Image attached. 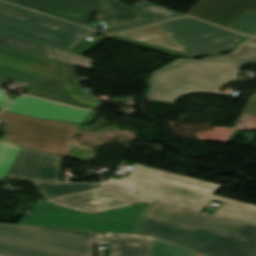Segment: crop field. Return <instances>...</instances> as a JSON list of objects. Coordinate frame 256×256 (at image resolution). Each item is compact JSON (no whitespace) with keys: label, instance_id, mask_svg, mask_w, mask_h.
I'll return each mask as SVG.
<instances>
[{"label":"crop field","instance_id":"8a807250","mask_svg":"<svg viewBox=\"0 0 256 256\" xmlns=\"http://www.w3.org/2000/svg\"><path fill=\"white\" fill-rule=\"evenodd\" d=\"M242 63L178 59L153 73L152 88L146 98L165 101L195 92L219 93L225 84L236 79ZM224 94V93H220Z\"/></svg>","mask_w":256,"mask_h":256},{"label":"crop field","instance_id":"ac0d7876","mask_svg":"<svg viewBox=\"0 0 256 256\" xmlns=\"http://www.w3.org/2000/svg\"><path fill=\"white\" fill-rule=\"evenodd\" d=\"M145 218L178 227L210 229L222 235L196 251L209 256H256V227L175 209L154 201Z\"/></svg>","mask_w":256,"mask_h":256},{"label":"crop field","instance_id":"34b2d1b8","mask_svg":"<svg viewBox=\"0 0 256 256\" xmlns=\"http://www.w3.org/2000/svg\"><path fill=\"white\" fill-rule=\"evenodd\" d=\"M0 30L67 51L91 31L1 1Z\"/></svg>","mask_w":256,"mask_h":256},{"label":"crop field","instance_id":"412701ff","mask_svg":"<svg viewBox=\"0 0 256 256\" xmlns=\"http://www.w3.org/2000/svg\"><path fill=\"white\" fill-rule=\"evenodd\" d=\"M95 231L0 223V242L64 256H92Z\"/></svg>","mask_w":256,"mask_h":256},{"label":"crop field","instance_id":"f4fd0767","mask_svg":"<svg viewBox=\"0 0 256 256\" xmlns=\"http://www.w3.org/2000/svg\"><path fill=\"white\" fill-rule=\"evenodd\" d=\"M5 125L0 140L68 157L73 131L77 124L40 120L3 111Z\"/></svg>","mask_w":256,"mask_h":256},{"label":"crop field","instance_id":"dd49c442","mask_svg":"<svg viewBox=\"0 0 256 256\" xmlns=\"http://www.w3.org/2000/svg\"><path fill=\"white\" fill-rule=\"evenodd\" d=\"M138 194L162 200L177 207L195 212L202 211L212 200L220 201L224 204L213 214V216L256 224V206L254 205L157 180L139 176Z\"/></svg>","mask_w":256,"mask_h":256},{"label":"crop field","instance_id":"e52e79f7","mask_svg":"<svg viewBox=\"0 0 256 256\" xmlns=\"http://www.w3.org/2000/svg\"><path fill=\"white\" fill-rule=\"evenodd\" d=\"M85 26L93 12L96 19L113 26L145 19L137 9L117 0H4Z\"/></svg>","mask_w":256,"mask_h":256},{"label":"crop field","instance_id":"d8731c3e","mask_svg":"<svg viewBox=\"0 0 256 256\" xmlns=\"http://www.w3.org/2000/svg\"><path fill=\"white\" fill-rule=\"evenodd\" d=\"M139 222L140 220L113 222L98 219L89 214L38 200L33 211L22 218L19 224L133 234Z\"/></svg>","mask_w":256,"mask_h":256},{"label":"crop field","instance_id":"5a996713","mask_svg":"<svg viewBox=\"0 0 256 256\" xmlns=\"http://www.w3.org/2000/svg\"><path fill=\"white\" fill-rule=\"evenodd\" d=\"M175 38L187 46L189 57L231 50L237 41L246 36L215 27L189 17L163 23Z\"/></svg>","mask_w":256,"mask_h":256},{"label":"crop field","instance_id":"3316defc","mask_svg":"<svg viewBox=\"0 0 256 256\" xmlns=\"http://www.w3.org/2000/svg\"><path fill=\"white\" fill-rule=\"evenodd\" d=\"M11 78L32 84L59 77L53 60L0 45V88Z\"/></svg>","mask_w":256,"mask_h":256},{"label":"crop field","instance_id":"28ad6ade","mask_svg":"<svg viewBox=\"0 0 256 256\" xmlns=\"http://www.w3.org/2000/svg\"><path fill=\"white\" fill-rule=\"evenodd\" d=\"M49 201L85 213H97L137 203V196L103 186L98 189L52 198Z\"/></svg>","mask_w":256,"mask_h":256},{"label":"crop field","instance_id":"d1516ede","mask_svg":"<svg viewBox=\"0 0 256 256\" xmlns=\"http://www.w3.org/2000/svg\"><path fill=\"white\" fill-rule=\"evenodd\" d=\"M64 157L22 147L7 177L30 181H60Z\"/></svg>","mask_w":256,"mask_h":256},{"label":"crop field","instance_id":"22f410ed","mask_svg":"<svg viewBox=\"0 0 256 256\" xmlns=\"http://www.w3.org/2000/svg\"><path fill=\"white\" fill-rule=\"evenodd\" d=\"M4 110L44 120L51 119L80 124H83L93 112L79 110L25 95L13 99Z\"/></svg>","mask_w":256,"mask_h":256},{"label":"crop field","instance_id":"cbeb9de0","mask_svg":"<svg viewBox=\"0 0 256 256\" xmlns=\"http://www.w3.org/2000/svg\"><path fill=\"white\" fill-rule=\"evenodd\" d=\"M134 234L154 235L193 251L220 236L210 230L194 229L190 231L145 218L141 220Z\"/></svg>","mask_w":256,"mask_h":256},{"label":"crop field","instance_id":"5142ce71","mask_svg":"<svg viewBox=\"0 0 256 256\" xmlns=\"http://www.w3.org/2000/svg\"><path fill=\"white\" fill-rule=\"evenodd\" d=\"M246 11H256V0H201L187 15L228 28Z\"/></svg>","mask_w":256,"mask_h":256},{"label":"crop field","instance_id":"d9b57169","mask_svg":"<svg viewBox=\"0 0 256 256\" xmlns=\"http://www.w3.org/2000/svg\"><path fill=\"white\" fill-rule=\"evenodd\" d=\"M128 172L134 173L135 175L130 174L119 180L109 178L104 182L105 184L127 189L134 192H137L138 175L192 188V189H196V190H200L210 194H212L219 187H221V185L161 171V170L140 165V164H135Z\"/></svg>","mask_w":256,"mask_h":256},{"label":"crop field","instance_id":"733c2abd","mask_svg":"<svg viewBox=\"0 0 256 256\" xmlns=\"http://www.w3.org/2000/svg\"><path fill=\"white\" fill-rule=\"evenodd\" d=\"M108 38L173 56H187L184 46L177 43L172 34L160 26V24L113 35Z\"/></svg>","mask_w":256,"mask_h":256},{"label":"crop field","instance_id":"4a817a6b","mask_svg":"<svg viewBox=\"0 0 256 256\" xmlns=\"http://www.w3.org/2000/svg\"><path fill=\"white\" fill-rule=\"evenodd\" d=\"M153 236L106 232L98 244L111 245L109 256H149Z\"/></svg>","mask_w":256,"mask_h":256},{"label":"crop field","instance_id":"bc2a9ffb","mask_svg":"<svg viewBox=\"0 0 256 256\" xmlns=\"http://www.w3.org/2000/svg\"><path fill=\"white\" fill-rule=\"evenodd\" d=\"M33 86L37 87L36 89L29 91L27 94L32 95V96H37L41 98H46L58 102H62L65 104L77 106L80 108H88L64 95V91L62 88V85L60 83V80H52V81H47V82H42V83H37V84H32Z\"/></svg>","mask_w":256,"mask_h":256},{"label":"crop field","instance_id":"214f88e0","mask_svg":"<svg viewBox=\"0 0 256 256\" xmlns=\"http://www.w3.org/2000/svg\"><path fill=\"white\" fill-rule=\"evenodd\" d=\"M0 44L54 60L51 47L1 31Z\"/></svg>","mask_w":256,"mask_h":256},{"label":"crop field","instance_id":"92a150f3","mask_svg":"<svg viewBox=\"0 0 256 256\" xmlns=\"http://www.w3.org/2000/svg\"><path fill=\"white\" fill-rule=\"evenodd\" d=\"M200 59L256 63V38L251 37L250 39L242 42L232 53L228 55Z\"/></svg>","mask_w":256,"mask_h":256},{"label":"crop field","instance_id":"dafd665d","mask_svg":"<svg viewBox=\"0 0 256 256\" xmlns=\"http://www.w3.org/2000/svg\"><path fill=\"white\" fill-rule=\"evenodd\" d=\"M34 184L42 193V195L45 197V199L100 187V185H86V184H60V183H34Z\"/></svg>","mask_w":256,"mask_h":256},{"label":"crop field","instance_id":"00972430","mask_svg":"<svg viewBox=\"0 0 256 256\" xmlns=\"http://www.w3.org/2000/svg\"><path fill=\"white\" fill-rule=\"evenodd\" d=\"M150 205L151 203H137L129 207L102 212L100 215L116 221L142 219Z\"/></svg>","mask_w":256,"mask_h":256},{"label":"crop field","instance_id":"a9b5d70f","mask_svg":"<svg viewBox=\"0 0 256 256\" xmlns=\"http://www.w3.org/2000/svg\"><path fill=\"white\" fill-rule=\"evenodd\" d=\"M150 256H195V252L154 237Z\"/></svg>","mask_w":256,"mask_h":256},{"label":"crop field","instance_id":"4177f3b9","mask_svg":"<svg viewBox=\"0 0 256 256\" xmlns=\"http://www.w3.org/2000/svg\"><path fill=\"white\" fill-rule=\"evenodd\" d=\"M22 146L0 141V179L4 180Z\"/></svg>","mask_w":256,"mask_h":256},{"label":"crop field","instance_id":"730fd06b","mask_svg":"<svg viewBox=\"0 0 256 256\" xmlns=\"http://www.w3.org/2000/svg\"><path fill=\"white\" fill-rule=\"evenodd\" d=\"M134 6L139 8L141 12L144 13L145 15L154 17L160 21L185 16L148 2L141 3Z\"/></svg>","mask_w":256,"mask_h":256},{"label":"crop field","instance_id":"eef30255","mask_svg":"<svg viewBox=\"0 0 256 256\" xmlns=\"http://www.w3.org/2000/svg\"><path fill=\"white\" fill-rule=\"evenodd\" d=\"M54 51H55V56L57 61L69 64L72 66L88 69V70H91L92 68H94L91 64L92 60L89 58H86L84 56H79L64 50L57 49V48H54Z\"/></svg>","mask_w":256,"mask_h":256},{"label":"crop field","instance_id":"ae1a2a85","mask_svg":"<svg viewBox=\"0 0 256 256\" xmlns=\"http://www.w3.org/2000/svg\"><path fill=\"white\" fill-rule=\"evenodd\" d=\"M256 28V12H246L229 29L243 34H248Z\"/></svg>","mask_w":256,"mask_h":256},{"label":"crop field","instance_id":"d3111659","mask_svg":"<svg viewBox=\"0 0 256 256\" xmlns=\"http://www.w3.org/2000/svg\"><path fill=\"white\" fill-rule=\"evenodd\" d=\"M0 252L15 256H58L0 243Z\"/></svg>","mask_w":256,"mask_h":256},{"label":"crop field","instance_id":"750c4746","mask_svg":"<svg viewBox=\"0 0 256 256\" xmlns=\"http://www.w3.org/2000/svg\"><path fill=\"white\" fill-rule=\"evenodd\" d=\"M157 22L158 21H156L155 19L150 18V19H145V20H141V21H137V22H133V23H129V24H125V25H121V26H117V27H113V28H109V29H105V30H101V31L108 33V34H113V33L129 30V29H133V28H137V27H141V26H145V25H149V24H153V23H157Z\"/></svg>","mask_w":256,"mask_h":256},{"label":"crop field","instance_id":"bd1437ed","mask_svg":"<svg viewBox=\"0 0 256 256\" xmlns=\"http://www.w3.org/2000/svg\"><path fill=\"white\" fill-rule=\"evenodd\" d=\"M105 38H97L93 42H79L75 47H73L70 52L83 55L90 49H92L94 46H96L98 43L103 41Z\"/></svg>","mask_w":256,"mask_h":256},{"label":"crop field","instance_id":"1d83c4d3","mask_svg":"<svg viewBox=\"0 0 256 256\" xmlns=\"http://www.w3.org/2000/svg\"><path fill=\"white\" fill-rule=\"evenodd\" d=\"M57 62V61H56ZM57 66L60 70L61 77L63 80L75 82L76 80V73L75 68L60 62H57Z\"/></svg>","mask_w":256,"mask_h":256},{"label":"crop field","instance_id":"120bbe31","mask_svg":"<svg viewBox=\"0 0 256 256\" xmlns=\"http://www.w3.org/2000/svg\"><path fill=\"white\" fill-rule=\"evenodd\" d=\"M242 113L245 114H256V94L253 96V98L249 101L246 108Z\"/></svg>","mask_w":256,"mask_h":256},{"label":"crop field","instance_id":"d32e631a","mask_svg":"<svg viewBox=\"0 0 256 256\" xmlns=\"http://www.w3.org/2000/svg\"><path fill=\"white\" fill-rule=\"evenodd\" d=\"M7 102L6 96L3 91L0 90V109L5 105Z\"/></svg>","mask_w":256,"mask_h":256},{"label":"crop field","instance_id":"5866460e","mask_svg":"<svg viewBox=\"0 0 256 256\" xmlns=\"http://www.w3.org/2000/svg\"><path fill=\"white\" fill-rule=\"evenodd\" d=\"M138 202H152L151 200L138 197Z\"/></svg>","mask_w":256,"mask_h":256},{"label":"crop field","instance_id":"028f5c9d","mask_svg":"<svg viewBox=\"0 0 256 256\" xmlns=\"http://www.w3.org/2000/svg\"><path fill=\"white\" fill-rule=\"evenodd\" d=\"M151 102H154V103H162V104H170V105H173L174 103H166V102H160V101H151Z\"/></svg>","mask_w":256,"mask_h":256},{"label":"crop field","instance_id":"e1f06a70","mask_svg":"<svg viewBox=\"0 0 256 256\" xmlns=\"http://www.w3.org/2000/svg\"><path fill=\"white\" fill-rule=\"evenodd\" d=\"M0 256H9V255H5V254H0Z\"/></svg>","mask_w":256,"mask_h":256},{"label":"crop field","instance_id":"0bd39190","mask_svg":"<svg viewBox=\"0 0 256 256\" xmlns=\"http://www.w3.org/2000/svg\"><path fill=\"white\" fill-rule=\"evenodd\" d=\"M253 35H255V36H256V32H255Z\"/></svg>","mask_w":256,"mask_h":256}]
</instances>
